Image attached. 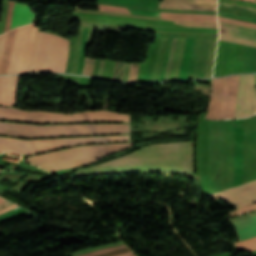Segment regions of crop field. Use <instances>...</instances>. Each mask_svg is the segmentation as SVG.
Returning <instances> with one entry per match:
<instances>
[{
	"label": "crop field",
	"mask_w": 256,
	"mask_h": 256,
	"mask_svg": "<svg viewBox=\"0 0 256 256\" xmlns=\"http://www.w3.org/2000/svg\"><path fill=\"white\" fill-rule=\"evenodd\" d=\"M161 18L162 19H171V20H185V21H200V22L217 23L216 16H210V15H188V14L161 13Z\"/></svg>",
	"instance_id": "cbeb9de0"
},
{
	"label": "crop field",
	"mask_w": 256,
	"mask_h": 256,
	"mask_svg": "<svg viewBox=\"0 0 256 256\" xmlns=\"http://www.w3.org/2000/svg\"><path fill=\"white\" fill-rule=\"evenodd\" d=\"M219 25L220 29L227 30L226 33L220 31L219 39L256 47V29L221 22Z\"/></svg>",
	"instance_id": "5a996713"
},
{
	"label": "crop field",
	"mask_w": 256,
	"mask_h": 256,
	"mask_svg": "<svg viewBox=\"0 0 256 256\" xmlns=\"http://www.w3.org/2000/svg\"><path fill=\"white\" fill-rule=\"evenodd\" d=\"M218 10L225 11V12L236 13V14H241V15H246V16H251V17H256V14H254V13L244 12V11L225 8V7H220V6H218Z\"/></svg>",
	"instance_id": "00972430"
},
{
	"label": "crop field",
	"mask_w": 256,
	"mask_h": 256,
	"mask_svg": "<svg viewBox=\"0 0 256 256\" xmlns=\"http://www.w3.org/2000/svg\"><path fill=\"white\" fill-rule=\"evenodd\" d=\"M4 201H5V200H3V199L0 198V203H2V202H4Z\"/></svg>",
	"instance_id": "0bd39190"
},
{
	"label": "crop field",
	"mask_w": 256,
	"mask_h": 256,
	"mask_svg": "<svg viewBox=\"0 0 256 256\" xmlns=\"http://www.w3.org/2000/svg\"><path fill=\"white\" fill-rule=\"evenodd\" d=\"M138 64H131L128 82H137Z\"/></svg>",
	"instance_id": "dafd665d"
},
{
	"label": "crop field",
	"mask_w": 256,
	"mask_h": 256,
	"mask_svg": "<svg viewBox=\"0 0 256 256\" xmlns=\"http://www.w3.org/2000/svg\"><path fill=\"white\" fill-rule=\"evenodd\" d=\"M16 207H18V206L15 205V204H13V205H11V206H9V207H6V208H4V209H1V210H0V214H2V213H4V212H7V211H9V210H11V209H14V208H16Z\"/></svg>",
	"instance_id": "120bbe31"
},
{
	"label": "crop field",
	"mask_w": 256,
	"mask_h": 256,
	"mask_svg": "<svg viewBox=\"0 0 256 256\" xmlns=\"http://www.w3.org/2000/svg\"><path fill=\"white\" fill-rule=\"evenodd\" d=\"M244 1L256 2V0H244Z\"/></svg>",
	"instance_id": "e1f06a70"
},
{
	"label": "crop field",
	"mask_w": 256,
	"mask_h": 256,
	"mask_svg": "<svg viewBox=\"0 0 256 256\" xmlns=\"http://www.w3.org/2000/svg\"><path fill=\"white\" fill-rule=\"evenodd\" d=\"M238 249H247L249 251L255 250L256 249V237L245 240L239 243L234 244Z\"/></svg>",
	"instance_id": "4a817a6b"
},
{
	"label": "crop field",
	"mask_w": 256,
	"mask_h": 256,
	"mask_svg": "<svg viewBox=\"0 0 256 256\" xmlns=\"http://www.w3.org/2000/svg\"><path fill=\"white\" fill-rule=\"evenodd\" d=\"M19 75L0 77V105L14 106Z\"/></svg>",
	"instance_id": "28ad6ade"
},
{
	"label": "crop field",
	"mask_w": 256,
	"mask_h": 256,
	"mask_svg": "<svg viewBox=\"0 0 256 256\" xmlns=\"http://www.w3.org/2000/svg\"><path fill=\"white\" fill-rule=\"evenodd\" d=\"M123 247H126V246L123 245V246H119V247L108 248V249H104V250H101V251L93 252V253L86 254V255H79V256H92V255L104 253V252H107V251H111V250H115V249H119V248H123Z\"/></svg>",
	"instance_id": "bd1437ed"
},
{
	"label": "crop field",
	"mask_w": 256,
	"mask_h": 256,
	"mask_svg": "<svg viewBox=\"0 0 256 256\" xmlns=\"http://www.w3.org/2000/svg\"><path fill=\"white\" fill-rule=\"evenodd\" d=\"M233 224L237 227L241 240L256 235V216L233 222Z\"/></svg>",
	"instance_id": "22f410ed"
},
{
	"label": "crop field",
	"mask_w": 256,
	"mask_h": 256,
	"mask_svg": "<svg viewBox=\"0 0 256 256\" xmlns=\"http://www.w3.org/2000/svg\"><path fill=\"white\" fill-rule=\"evenodd\" d=\"M129 133V124L29 125L0 122V134L19 137Z\"/></svg>",
	"instance_id": "34b2d1b8"
},
{
	"label": "crop field",
	"mask_w": 256,
	"mask_h": 256,
	"mask_svg": "<svg viewBox=\"0 0 256 256\" xmlns=\"http://www.w3.org/2000/svg\"><path fill=\"white\" fill-rule=\"evenodd\" d=\"M255 208H256V204L252 205V206H248V207L242 208V209H239V211L244 213V212L250 211V210L255 209Z\"/></svg>",
	"instance_id": "1d83c4d3"
},
{
	"label": "crop field",
	"mask_w": 256,
	"mask_h": 256,
	"mask_svg": "<svg viewBox=\"0 0 256 256\" xmlns=\"http://www.w3.org/2000/svg\"><path fill=\"white\" fill-rule=\"evenodd\" d=\"M130 256H136L135 254H133V255H130Z\"/></svg>",
	"instance_id": "b80d0937"
},
{
	"label": "crop field",
	"mask_w": 256,
	"mask_h": 256,
	"mask_svg": "<svg viewBox=\"0 0 256 256\" xmlns=\"http://www.w3.org/2000/svg\"><path fill=\"white\" fill-rule=\"evenodd\" d=\"M218 15L225 16V17H230V18H235V19H240V20H245V21H250V22H255L256 23V19L236 16V15H230V14H225V13H220V12H218Z\"/></svg>",
	"instance_id": "eef30255"
},
{
	"label": "crop field",
	"mask_w": 256,
	"mask_h": 256,
	"mask_svg": "<svg viewBox=\"0 0 256 256\" xmlns=\"http://www.w3.org/2000/svg\"><path fill=\"white\" fill-rule=\"evenodd\" d=\"M1 171V170H0Z\"/></svg>",
	"instance_id": "c21b1889"
},
{
	"label": "crop field",
	"mask_w": 256,
	"mask_h": 256,
	"mask_svg": "<svg viewBox=\"0 0 256 256\" xmlns=\"http://www.w3.org/2000/svg\"><path fill=\"white\" fill-rule=\"evenodd\" d=\"M252 215H256V212L251 213V214H247V215H244V216H241V217H238V218L231 219V222L236 221V220H240V219L252 216Z\"/></svg>",
	"instance_id": "d32e631a"
},
{
	"label": "crop field",
	"mask_w": 256,
	"mask_h": 256,
	"mask_svg": "<svg viewBox=\"0 0 256 256\" xmlns=\"http://www.w3.org/2000/svg\"><path fill=\"white\" fill-rule=\"evenodd\" d=\"M34 17L35 13L30 10V5L19 4L16 2L11 29L33 22Z\"/></svg>",
	"instance_id": "d1516ede"
},
{
	"label": "crop field",
	"mask_w": 256,
	"mask_h": 256,
	"mask_svg": "<svg viewBox=\"0 0 256 256\" xmlns=\"http://www.w3.org/2000/svg\"><path fill=\"white\" fill-rule=\"evenodd\" d=\"M255 78H256V75H255Z\"/></svg>",
	"instance_id": "c035e120"
},
{
	"label": "crop field",
	"mask_w": 256,
	"mask_h": 256,
	"mask_svg": "<svg viewBox=\"0 0 256 256\" xmlns=\"http://www.w3.org/2000/svg\"><path fill=\"white\" fill-rule=\"evenodd\" d=\"M130 254H133V251L123 253V254H120V255H117V256H126V255H130Z\"/></svg>",
	"instance_id": "028f5c9d"
},
{
	"label": "crop field",
	"mask_w": 256,
	"mask_h": 256,
	"mask_svg": "<svg viewBox=\"0 0 256 256\" xmlns=\"http://www.w3.org/2000/svg\"><path fill=\"white\" fill-rule=\"evenodd\" d=\"M129 140V135L84 138H58L39 140H18L0 137V153L4 151L32 154L84 143H105Z\"/></svg>",
	"instance_id": "f4fd0767"
},
{
	"label": "crop field",
	"mask_w": 256,
	"mask_h": 256,
	"mask_svg": "<svg viewBox=\"0 0 256 256\" xmlns=\"http://www.w3.org/2000/svg\"><path fill=\"white\" fill-rule=\"evenodd\" d=\"M219 1L228 2V3H234V4L247 5V6H251V7H255L256 8V4L255 3L235 1V0H219Z\"/></svg>",
	"instance_id": "ae1a2a85"
},
{
	"label": "crop field",
	"mask_w": 256,
	"mask_h": 256,
	"mask_svg": "<svg viewBox=\"0 0 256 256\" xmlns=\"http://www.w3.org/2000/svg\"><path fill=\"white\" fill-rule=\"evenodd\" d=\"M132 147L131 143L84 145L26 157L50 172L93 163L109 154Z\"/></svg>",
	"instance_id": "ac0d7876"
},
{
	"label": "crop field",
	"mask_w": 256,
	"mask_h": 256,
	"mask_svg": "<svg viewBox=\"0 0 256 256\" xmlns=\"http://www.w3.org/2000/svg\"><path fill=\"white\" fill-rule=\"evenodd\" d=\"M99 10H104V11H112V12H120V13H130L127 8L123 7H112V6H105V5H99Z\"/></svg>",
	"instance_id": "bc2a9ffb"
},
{
	"label": "crop field",
	"mask_w": 256,
	"mask_h": 256,
	"mask_svg": "<svg viewBox=\"0 0 256 256\" xmlns=\"http://www.w3.org/2000/svg\"><path fill=\"white\" fill-rule=\"evenodd\" d=\"M240 75L227 77L221 119L233 118Z\"/></svg>",
	"instance_id": "3316defc"
},
{
	"label": "crop field",
	"mask_w": 256,
	"mask_h": 256,
	"mask_svg": "<svg viewBox=\"0 0 256 256\" xmlns=\"http://www.w3.org/2000/svg\"><path fill=\"white\" fill-rule=\"evenodd\" d=\"M14 3H15L14 1L9 0V11H8V14H7V21H6V26H5L4 32L10 29Z\"/></svg>",
	"instance_id": "a9b5d70f"
},
{
	"label": "crop field",
	"mask_w": 256,
	"mask_h": 256,
	"mask_svg": "<svg viewBox=\"0 0 256 256\" xmlns=\"http://www.w3.org/2000/svg\"><path fill=\"white\" fill-rule=\"evenodd\" d=\"M130 114L94 110L78 114H62L45 111L26 112L16 108L0 107V119L27 122H75V121H126Z\"/></svg>",
	"instance_id": "412701ff"
},
{
	"label": "crop field",
	"mask_w": 256,
	"mask_h": 256,
	"mask_svg": "<svg viewBox=\"0 0 256 256\" xmlns=\"http://www.w3.org/2000/svg\"><path fill=\"white\" fill-rule=\"evenodd\" d=\"M218 5H220V6H225V7H230V8H235V9H240V10H245V11L256 12V9L247 8V7H242V6H237V5H232V4H227V3H221V2H219Z\"/></svg>",
	"instance_id": "730fd06b"
},
{
	"label": "crop field",
	"mask_w": 256,
	"mask_h": 256,
	"mask_svg": "<svg viewBox=\"0 0 256 256\" xmlns=\"http://www.w3.org/2000/svg\"><path fill=\"white\" fill-rule=\"evenodd\" d=\"M33 24L17 28L7 74L28 72L38 33Z\"/></svg>",
	"instance_id": "dd49c442"
},
{
	"label": "crop field",
	"mask_w": 256,
	"mask_h": 256,
	"mask_svg": "<svg viewBox=\"0 0 256 256\" xmlns=\"http://www.w3.org/2000/svg\"><path fill=\"white\" fill-rule=\"evenodd\" d=\"M212 198H224L239 207L256 202V181L226 190L214 195Z\"/></svg>",
	"instance_id": "d8731c3e"
},
{
	"label": "crop field",
	"mask_w": 256,
	"mask_h": 256,
	"mask_svg": "<svg viewBox=\"0 0 256 256\" xmlns=\"http://www.w3.org/2000/svg\"><path fill=\"white\" fill-rule=\"evenodd\" d=\"M10 204H11V203H9V202L6 201V202H4L3 204L0 205V209H1V208H4V207H6V206H8V205H10Z\"/></svg>",
	"instance_id": "5866460e"
},
{
	"label": "crop field",
	"mask_w": 256,
	"mask_h": 256,
	"mask_svg": "<svg viewBox=\"0 0 256 256\" xmlns=\"http://www.w3.org/2000/svg\"><path fill=\"white\" fill-rule=\"evenodd\" d=\"M175 23L185 25V26L218 28L217 24H204V23H191V22H175Z\"/></svg>",
	"instance_id": "4177f3b9"
},
{
	"label": "crop field",
	"mask_w": 256,
	"mask_h": 256,
	"mask_svg": "<svg viewBox=\"0 0 256 256\" xmlns=\"http://www.w3.org/2000/svg\"><path fill=\"white\" fill-rule=\"evenodd\" d=\"M134 170L192 171V141L149 145L131 155L82 170L78 175Z\"/></svg>",
	"instance_id": "8a807250"
},
{
	"label": "crop field",
	"mask_w": 256,
	"mask_h": 256,
	"mask_svg": "<svg viewBox=\"0 0 256 256\" xmlns=\"http://www.w3.org/2000/svg\"><path fill=\"white\" fill-rule=\"evenodd\" d=\"M160 8L180 9V10L216 11V7H212V6L186 5V4H166V3H160Z\"/></svg>",
	"instance_id": "d9b57169"
},
{
	"label": "crop field",
	"mask_w": 256,
	"mask_h": 256,
	"mask_svg": "<svg viewBox=\"0 0 256 256\" xmlns=\"http://www.w3.org/2000/svg\"><path fill=\"white\" fill-rule=\"evenodd\" d=\"M167 3H187V4H203L216 6V0H162Z\"/></svg>",
	"instance_id": "733c2abd"
},
{
	"label": "crop field",
	"mask_w": 256,
	"mask_h": 256,
	"mask_svg": "<svg viewBox=\"0 0 256 256\" xmlns=\"http://www.w3.org/2000/svg\"><path fill=\"white\" fill-rule=\"evenodd\" d=\"M256 113V93L253 75H241L235 118Z\"/></svg>",
	"instance_id": "e52e79f7"
},
{
	"label": "crop field",
	"mask_w": 256,
	"mask_h": 256,
	"mask_svg": "<svg viewBox=\"0 0 256 256\" xmlns=\"http://www.w3.org/2000/svg\"><path fill=\"white\" fill-rule=\"evenodd\" d=\"M120 64H122V63H120ZM120 64H119V67H118V62H117V63H116V66H115V72H114V77H113V79H115V80H118V79H119V73H120V67H121ZM117 67H118V73H117ZM123 69H124V64H122V68H121L120 81H122ZM116 73H117V78H118V79H116Z\"/></svg>",
	"instance_id": "d3111659"
},
{
	"label": "crop field",
	"mask_w": 256,
	"mask_h": 256,
	"mask_svg": "<svg viewBox=\"0 0 256 256\" xmlns=\"http://www.w3.org/2000/svg\"><path fill=\"white\" fill-rule=\"evenodd\" d=\"M15 30H16V28L9 31L7 42H6V47H5V51H4V55H3V59H2V64H1V68H0V74H6V72H7V67H8V63H9V58H10V53H11V49H12Z\"/></svg>",
	"instance_id": "5142ce71"
},
{
	"label": "crop field",
	"mask_w": 256,
	"mask_h": 256,
	"mask_svg": "<svg viewBox=\"0 0 256 256\" xmlns=\"http://www.w3.org/2000/svg\"><path fill=\"white\" fill-rule=\"evenodd\" d=\"M121 244H123V242L117 243V244H111V245H104V246H100V247H96V248H91V249L83 250V251H80V252H77V253H72L71 256H77L79 254H86V253L101 250V249H104V248H107V247L119 246Z\"/></svg>",
	"instance_id": "214f88e0"
},
{
	"label": "crop field",
	"mask_w": 256,
	"mask_h": 256,
	"mask_svg": "<svg viewBox=\"0 0 256 256\" xmlns=\"http://www.w3.org/2000/svg\"><path fill=\"white\" fill-rule=\"evenodd\" d=\"M127 251H130V250L128 248H123V249H119V250H116V251L108 252V253H105V254H102V255H98V256H113V255H117V254H120V253H123V252H127Z\"/></svg>",
	"instance_id": "750c4746"
},
{
	"label": "crop field",
	"mask_w": 256,
	"mask_h": 256,
	"mask_svg": "<svg viewBox=\"0 0 256 256\" xmlns=\"http://www.w3.org/2000/svg\"><path fill=\"white\" fill-rule=\"evenodd\" d=\"M218 19L221 22L232 23V24H237V25H242V26L256 28V24H254V23L242 22V21L231 20V19L220 18V17H218Z\"/></svg>",
	"instance_id": "92a150f3"
}]
</instances>
